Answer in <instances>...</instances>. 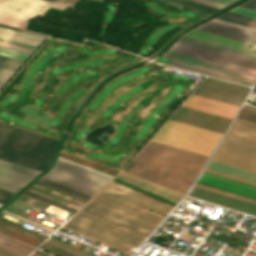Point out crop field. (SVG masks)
Returning <instances> with one entry per match:
<instances>
[{"label": "crop field", "instance_id": "8a807250", "mask_svg": "<svg viewBox=\"0 0 256 256\" xmlns=\"http://www.w3.org/2000/svg\"><path fill=\"white\" fill-rule=\"evenodd\" d=\"M148 207L164 214L171 208L110 182L64 227L126 252L161 219L145 211Z\"/></svg>", "mask_w": 256, "mask_h": 256}, {"label": "crop field", "instance_id": "b80d0937", "mask_svg": "<svg viewBox=\"0 0 256 256\" xmlns=\"http://www.w3.org/2000/svg\"><path fill=\"white\" fill-rule=\"evenodd\" d=\"M45 1H49V2H53V3H57V4H61V5L72 7L71 5H67V4H63V3H59V2H55V1H51V0H45Z\"/></svg>", "mask_w": 256, "mask_h": 256}, {"label": "crop field", "instance_id": "c21b1889", "mask_svg": "<svg viewBox=\"0 0 256 256\" xmlns=\"http://www.w3.org/2000/svg\"><path fill=\"white\" fill-rule=\"evenodd\" d=\"M98 1H102V0H98Z\"/></svg>", "mask_w": 256, "mask_h": 256}, {"label": "crop field", "instance_id": "4a817a6b", "mask_svg": "<svg viewBox=\"0 0 256 256\" xmlns=\"http://www.w3.org/2000/svg\"><path fill=\"white\" fill-rule=\"evenodd\" d=\"M207 169L256 182V174L210 161Z\"/></svg>", "mask_w": 256, "mask_h": 256}, {"label": "crop field", "instance_id": "cbeb9de0", "mask_svg": "<svg viewBox=\"0 0 256 256\" xmlns=\"http://www.w3.org/2000/svg\"><path fill=\"white\" fill-rule=\"evenodd\" d=\"M39 173L40 171L0 160V181L23 187Z\"/></svg>", "mask_w": 256, "mask_h": 256}, {"label": "crop field", "instance_id": "4177f3b9", "mask_svg": "<svg viewBox=\"0 0 256 256\" xmlns=\"http://www.w3.org/2000/svg\"><path fill=\"white\" fill-rule=\"evenodd\" d=\"M24 194L29 195V196L34 197V198H37V199H39V200H42V201H44V202H47V203L52 204V205H54V206H57V207H59V208L65 209V210L70 211V212H72V213H75V212H76V211L73 210V209H70V208L65 207V206H63V205H60V204H58V203H55V202H53V201H50V200H48V199H45V198H43V197H40V196L35 195V194H33V193H30V192H28V191L24 192Z\"/></svg>", "mask_w": 256, "mask_h": 256}, {"label": "crop field", "instance_id": "412701ff", "mask_svg": "<svg viewBox=\"0 0 256 256\" xmlns=\"http://www.w3.org/2000/svg\"><path fill=\"white\" fill-rule=\"evenodd\" d=\"M212 161L256 173V124L236 118Z\"/></svg>", "mask_w": 256, "mask_h": 256}, {"label": "crop field", "instance_id": "5a996713", "mask_svg": "<svg viewBox=\"0 0 256 256\" xmlns=\"http://www.w3.org/2000/svg\"><path fill=\"white\" fill-rule=\"evenodd\" d=\"M198 183L256 199V183L205 169Z\"/></svg>", "mask_w": 256, "mask_h": 256}, {"label": "crop field", "instance_id": "e52e79f7", "mask_svg": "<svg viewBox=\"0 0 256 256\" xmlns=\"http://www.w3.org/2000/svg\"><path fill=\"white\" fill-rule=\"evenodd\" d=\"M123 171L160 184L175 191L186 193L195 176L175 172L131 160Z\"/></svg>", "mask_w": 256, "mask_h": 256}, {"label": "crop field", "instance_id": "bc2a9ffb", "mask_svg": "<svg viewBox=\"0 0 256 256\" xmlns=\"http://www.w3.org/2000/svg\"><path fill=\"white\" fill-rule=\"evenodd\" d=\"M23 61L0 56V67L16 71ZM13 71L0 68V88L11 77Z\"/></svg>", "mask_w": 256, "mask_h": 256}, {"label": "crop field", "instance_id": "34b2d1b8", "mask_svg": "<svg viewBox=\"0 0 256 256\" xmlns=\"http://www.w3.org/2000/svg\"><path fill=\"white\" fill-rule=\"evenodd\" d=\"M57 141L0 123V159L36 170L50 163Z\"/></svg>", "mask_w": 256, "mask_h": 256}, {"label": "crop field", "instance_id": "733c2abd", "mask_svg": "<svg viewBox=\"0 0 256 256\" xmlns=\"http://www.w3.org/2000/svg\"><path fill=\"white\" fill-rule=\"evenodd\" d=\"M179 41H183V42L199 45V46H202V47L222 51V52H225V53L245 57V58H248V59L256 60V55H254V54L238 51V50H235V49L223 47V46H220V45L204 42V41H201V40H197V39H193V38H189V37H185V36H183Z\"/></svg>", "mask_w": 256, "mask_h": 256}, {"label": "crop field", "instance_id": "028f5c9d", "mask_svg": "<svg viewBox=\"0 0 256 256\" xmlns=\"http://www.w3.org/2000/svg\"><path fill=\"white\" fill-rule=\"evenodd\" d=\"M0 26H1V27L10 28V29H14V30H18V31H22V32H27V33L35 34V35H39V36H43V37H46V36H47V35H44V34H39V33L31 32V31H27V30L15 28V27L3 25V24H0Z\"/></svg>", "mask_w": 256, "mask_h": 256}, {"label": "crop field", "instance_id": "d3111659", "mask_svg": "<svg viewBox=\"0 0 256 256\" xmlns=\"http://www.w3.org/2000/svg\"><path fill=\"white\" fill-rule=\"evenodd\" d=\"M23 1L31 2V3H35V4L47 6V7L57 8L61 10H64L65 8L64 6H60V5H56V4H52V3H48L40 0H23Z\"/></svg>", "mask_w": 256, "mask_h": 256}, {"label": "crop field", "instance_id": "03da06ac", "mask_svg": "<svg viewBox=\"0 0 256 256\" xmlns=\"http://www.w3.org/2000/svg\"><path fill=\"white\" fill-rule=\"evenodd\" d=\"M0 206H2V204H0Z\"/></svg>", "mask_w": 256, "mask_h": 256}, {"label": "crop field", "instance_id": "d8731c3e", "mask_svg": "<svg viewBox=\"0 0 256 256\" xmlns=\"http://www.w3.org/2000/svg\"><path fill=\"white\" fill-rule=\"evenodd\" d=\"M169 51L197 57L200 59L228 65L231 67L251 71L256 73V61L225 54L222 52L202 48L199 46L177 41Z\"/></svg>", "mask_w": 256, "mask_h": 256}, {"label": "crop field", "instance_id": "750c4746", "mask_svg": "<svg viewBox=\"0 0 256 256\" xmlns=\"http://www.w3.org/2000/svg\"><path fill=\"white\" fill-rule=\"evenodd\" d=\"M0 189H4L7 191L16 193L18 190L21 189V187H17V186L11 185V184L0 182Z\"/></svg>", "mask_w": 256, "mask_h": 256}, {"label": "crop field", "instance_id": "22f410ed", "mask_svg": "<svg viewBox=\"0 0 256 256\" xmlns=\"http://www.w3.org/2000/svg\"><path fill=\"white\" fill-rule=\"evenodd\" d=\"M182 106L194 108L208 113L233 119L238 106L191 95Z\"/></svg>", "mask_w": 256, "mask_h": 256}, {"label": "crop field", "instance_id": "c035e120", "mask_svg": "<svg viewBox=\"0 0 256 256\" xmlns=\"http://www.w3.org/2000/svg\"><path fill=\"white\" fill-rule=\"evenodd\" d=\"M55 1H59V2H62V0H55Z\"/></svg>", "mask_w": 256, "mask_h": 256}, {"label": "crop field", "instance_id": "3316defc", "mask_svg": "<svg viewBox=\"0 0 256 256\" xmlns=\"http://www.w3.org/2000/svg\"><path fill=\"white\" fill-rule=\"evenodd\" d=\"M116 179L121 180L123 182H126L128 184H131L133 186H136L138 188H141L143 190L149 191L151 193H154L156 195H159L161 197H164V198L169 199L171 201H174L176 203H178L180 201V199L182 198V196H183V194H180L178 192L172 191V190L164 188L162 186L153 184L151 182L145 181L143 179L137 178L135 176L129 175V174L124 173V172H122L120 175H118L116 177ZM116 179L112 180V182L117 183L119 185H122V186H124L126 188H129L131 190H134L136 192H139L141 194H144L146 196H149L151 198H154V199H156L158 201H161L163 203H166V204H168L172 207H174L176 205V203H174V202H171L169 200H166L164 198H161V197L156 196L154 194H151L149 192L143 191L141 189H138L136 187H133L131 185H128L126 183L118 181Z\"/></svg>", "mask_w": 256, "mask_h": 256}, {"label": "crop field", "instance_id": "5142ce71", "mask_svg": "<svg viewBox=\"0 0 256 256\" xmlns=\"http://www.w3.org/2000/svg\"><path fill=\"white\" fill-rule=\"evenodd\" d=\"M47 9L19 0H0V13L26 20L35 15H43Z\"/></svg>", "mask_w": 256, "mask_h": 256}, {"label": "crop field", "instance_id": "ac0d7876", "mask_svg": "<svg viewBox=\"0 0 256 256\" xmlns=\"http://www.w3.org/2000/svg\"><path fill=\"white\" fill-rule=\"evenodd\" d=\"M222 133L168 120L151 141L210 155ZM149 141L133 160L197 176L208 156Z\"/></svg>", "mask_w": 256, "mask_h": 256}, {"label": "crop field", "instance_id": "dafd665d", "mask_svg": "<svg viewBox=\"0 0 256 256\" xmlns=\"http://www.w3.org/2000/svg\"><path fill=\"white\" fill-rule=\"evenodd\" d=\"M0 23L25 29L27 21L0 14Z\"/></svg>", "mask_w": 256, "mask_h": 256}, {"label": "crop field", "instance_id": "e1f06a70", "mask_svg": "<svg viewBox=\"0 0 256 256\" xmlns=\"http://www.w3.org/2000/svg\"><path fill=\"white\" fill-rule=\"evenodd\" d=\"M212 1L219 2V3L227 5V4H229V3H231L235 0H212Z\"/></svg>", "mask_w": 256, "mask_h": 256}, {"label": "crop field", "instance_id": "1d83c4d3", "mask_svg": "<svg viewBox=\"0 0 256 256\" xmlns=\"http://www.w3.org/2000/svg\"><path fill=\"white\" fill-rule=\"evenodd\" d=\"M14 193H10L4 190H0V203L4 204L8 199H10Z\"/></svg>", "mask_w": 256, "mask_h": 256}, {"label": "crop field", "instance_id": "dd49c442", "mask_svg": "<svg viewBox=\"0 0 256 256\" xmlns=\"http://www.w3.org/2000/svg\"><path fill=\"white\" fill-rule=\"evenodd\" d=\"M164 57L172 58L169 65L177 66L180 68L188 69L191 71L199 72L202 74L214 76L217 78L225 79L228 81L236 82L239 84L251 86L256 81V74L231 68L228 66L200 60L197 58L173 53L167 51Z\"/></svg>", "mask_w": 256, "mask_h": 256}, {"label": "crop field", "instance_id": "5866460e", "mask_svg": "<svg viewBox=\"0 0 256 256\" xmlns=\"http://www.w3.org/2000/svg\"><path fill=\"white\" fill-rule=\"evenodd\" d=\"M239 7L251 9L256 11V0H249L246 3L240 5Z\"/></svg>", "mask_w": 256, "mask_h": 256}, {"label": "crop field", "instance_id": "d9b57169", "mask_svg": "<svg viewBox=\"0 0 256 256\" xmlns=\"http://www.w3.org/2000/svg\"><path fill=\"white\" fill-rule=\"evenodd\" d=\"M43 37L0 27V41L35 49Z\"/></svg>", "mask_w": 256, "mask_h": 256}, {"label": "crop field", "instance_id": "d1516ede", "mask_svg": "<svg viewBox=\"0 0 256 256\" xmlns=\"http://www.w3.org/2000/svg\"><path fill=\"white\" fill-rule=\"evenodd\" d=\"M196 29L204 30L207 32L215 33L218 35L226 36L256 45V30L251 28L213 19L197 27Z\"/></svg>", "mask_w": 256, "mask_h": 256}, {"label": "crop field", "instance_id": "bd1437ed", "mask_svg": "<svg viewBox=\"0 0 256 256\" xmlns=\"http://www.w3.org/2000/svg\"><path fill=\"white\" fill-rule=\"evenodd\" d=\"M0 46H4V47L16 49V50H20V51H24V52H28V53H31L33 51L32 49H28V48H24V47L12 45V44H7V43H3V42H0Z\"/></svg>", "mask_w": 256, "mask_h": 256}, {"label": "crop field", "instance_id": "730fd06b", "mask_svg": "<svg viewBox=\"0 0 256 256\" xmlns=\"http://www.w3.org/2000/svg\"><path fill=\"white\" fill-rule=\"evenodd\" d=\"M229 12H233V13L241 14V15H244V16L256 18V12L255 11H251V10H247V9H243V8H239V7H236L234 9L230 10Z\"/></svg>", "mask_w": 256, "mask_h": 256}, {"label": "crop field", "instance_id": "00972430", "mask_svg": "<svg viewBox=\"0 0 256 256\" xmlns=\"http://www.w3.org/2000/svg\"><path fill=\"white\" fill-rule=\"evenodd\" d=\"M171 1H174V2H177L180 4H184V5L199 9V10L209 12V13H212V12L218 10V9H215V8H212V7L197 3V2H193L190 0H171Z\"/></svg>", "mask_w": 256, "mask_h": 256}, {"label": "crop field", "instance_id": "f4fd0767", "mask_svg": "<svg viewBox=\"0 0 256 256\" xmlns=\"http://www.w3.org/2000/svg\"><path fill=\"white\" fill-rule=\"evenodd\" d=\"M43 178L92 196L110 178L57 160L54 168Z\"/></svg>", "mask_w": 256, "mask_h": 256}, {"label": "crop field", "instance_id": "120bbe31", "mask_svg": "<svg viewBox=\"0 0 256 256\" xmlns=\"http://www.w3.org/2000/svg\"><path fill=\"white\" fill-rule=\"evenodd\" d=\"M47 243H49V244H51V245H54V246H56V247H59V248H61V249H63V250H66V251H68V252H70V253H73V254H75V255H78V256H85V255H83V254H81V253H78V252H76V251H73V250H71V249H69V248H66V247H64V246H62V245H59V244H57V243H54V242H52V241H50V240H48Z\"/></svg>", "mask_w": 256, "mask_h": 256}, {"label": "crop field", "instance_id": "92a150f3", "mask_svg": "<svg viewBox=\"0 0 256 256\" xmlns=\"http://www.w3.org/2000/svg\"><path fill=\"white\" fill-rule=\"evenodd\" d=\"M0 55L25 61V59L28 57L29 54L20 52V51H16V50H12V49H8V48H4V47H0Z\"/></svg>", "mask_w": 256, "mask_h": 256}, {"label": "crop field", "instance_id": "eef30255", "mask_svg": "<svg viewBox=\"0 0 256 256\" xmlns=\"http://www.w3.org/2000/svg\"><path fill=\"white\" fill-rule=\"evenodd\" d=\"M196 186H200V187H203V188H206V189H210V190H213V191H217V192H220V193H223V194H227V195H230V196H234V197H237V198H241V199H244V200L256 203V200L249 199V198H246V197H242V196H239V195H236V194H232V193H229V192H225V191H222V190H219V189H215V188H212V187H208V186H205V185H202V184L196 183Z\"/></svg>", "mask_w": 256, "mask_h": 256}, {"label": "crop field", "instance_id": "214f88e0", "mask_svg": "<svg viewBox=\"0 0 256 256\" xmlns=\"http://www.w3.org/2000/svg\"><path fill=\"white\" fill-rule=\"evenodd\" d=\"M216 19H220V20H224V21H228V22H232L235 24H239V25H243V26H247V27L256 29V22H252L249 20H245V19H241V18H237V17L225 15V14L217 17Z\"/></svg>", "mask_w": 256, "mask_h": 256}, {"label": "crop field", "instance_id": "d32e631a", "mask_svg": "<svg viewBox=\"0 0 256 256\" xmlns=\"http://www.w3.org/2000/svg\"><path fill=\"white\" fill-rule=\"evenodd\" d=\"M193 1H197V2L206 4V5L218 8V9H220L223 6H225V5H222V4H219V3H215V2H212V1H209V0H193Z\"/></svg>", "mask_w": 256, "mask_h": 256}, {"label": "crop field", "instance_id": "28ad6ade", "mask_svg": "<svg viewBox=\"0 0 256 256\" xmlns=\"http://www.w3.org/2000/svg\"><path fill=\"white\" fill-rule=\"evenodd\" d=\"M188 196L225 206L234 210L248 213L256 216V204L240 200L234 197L223 195L217 192L206 190L200 187H194Z\"/></svg>", "mask_w": 256, "mask_h": 256}, {"label": "crop field", "instance_id": "0bd39190", "mask_svg": "<svg viewBox=\"0 0 256 256\" xmlns=\"http://www.w3.org/2000/svg\"><path fill=\"white\" fill-rule=\"evenodd\" d=\"M225 14H229V15H233V16H237V17H241V18L249 19V20H252V21H256V19H252V18L244 17V16H241V15H237V14H233V13H229V12H226Z\"/></svg>", "mask_w": 256, "mask_h": 256}, {"label": "crop field", "instance_id": "a9b5d70f", "mask_svg": "<svg viewBox=\"0 0 256 256\" xmlns=\"http://www.w3.org/2000/svg\"><path fill=\"white\" fill-rule=\"evenodd\" d=\"M193 94L202 96V97H206V98H210V99H214V100H218V101H222V102H226V103H230V104H234V105H238V106H241V104H242V102L234 101L231 99L219 97L216 95L208 94V93L197 91V90H195Z\"/></svg>", "mask_w": 256, "mask_h": 256}, {"label": "crop field", "instance_id": "ae1a2a85", "mask_svg": "<svg viewBox=\"0 0 256 256\" xmlns=\"http://www.w3.org/2000/svg\"><path fill=\"white\" fill-rule=\"evenodd\" d=\"M40 180H41V181H44V182H46V183H48V184H51V185H53V186H55V187H58V188H61V189H63V190L69 191V192H71V193L77 194V195H79V196L85 197V198H87V199L90 198V196H88V195H85V194H82V193H80V192L74 191V190H72V189L66 188V187H64V186H61V185H59V184H56V183H53V182H51V181L45 180V179H43V178H41Z\"/></svg>", "mask_w": 256, "mask_h": 256}]
</instances>
